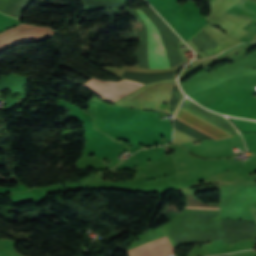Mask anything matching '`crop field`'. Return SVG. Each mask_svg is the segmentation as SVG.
I'll return each instance as SVG.
<instances>
[{"label":"crop field","mask_w":256,"mask_h":256,"mask_svg":"<svg viewBox=\"0 0 256 256\" xmlns=\"http://www.w3.org/2000/svg\"><path fill=\"white\" fill-rule=\"evenodd\" d=\"M137 12L143 18L147 26V44H148V60L149 68H165L169 67L165 56V52L161 43L160 36L147 16L138 9Z\"/></svg>","instance_id":"1"},{"label":"crop field","mask_w":256,"mask_h":256,"mask_svg":"<svg viewBox=\"0 0 256 256\" xmlns=\"http://www.w3.org/2000/svg\"><path fill=\"white\" fill-rule=\"evenodd\" d=\"M137 84L139 83L128 80H126L125 82H112L99 80L93 77L84 86L88 87V89L92 90L105 100L112 103L123 94L128 92L130 89L135 87Z\"/></svg>","instance_id":"2"},{"label":"crop field","mask_w":256,"mask_h":256,"mask_svg":"<svg viewBox=\"0 0 256 256\" xmlns=\"http://www.w3.org/2000/svg\"><path fill=\"white\" fill-rule=\"evenodd\" d=\"M178 111V110H177ZM175 119L213 137L216 139L230 137L231 135L179 110L175 116Z\"/></svg>","instance_id":"3"},{"label":"crop field","mask_w":256,"mask_h":256,"mask_svg":"<svg viewBox=\"0 0 256 256\" xmlns=\"http://www.w3.org/2000/svg\"><path fill=\"white\" fill-rule=\"evenodd\" d=\"M168 244H169V242H168L166 236H164L162 238H159L157 240H154V241L144 244L142 246L131 249L128 251V254H129V256H140L142 254L153 251L155 249L166 246ZM170 253H172L171 245L164 247L162 249H159L157 251H154L152 253H149L147 255H144V256H168ZM169 256H173V253L170 254Z\"/></svg>","instance_id":"4"},{"label":"crop field","mask_w":256,"mask_h":256,"mask_svg":"<svg viewBox=\"0 0 256 256\" xmlns=\"http://www.w3.org/2000/svg\"><path fill=\"white\" fill-rule=\"evenodd\" d=\"M185 208L219 209L218 205L187 204Z\"/></svg>","instance_id":"5"}]
</instances>
